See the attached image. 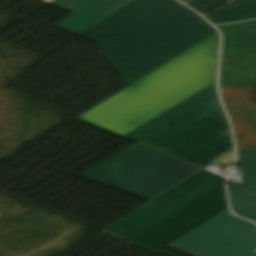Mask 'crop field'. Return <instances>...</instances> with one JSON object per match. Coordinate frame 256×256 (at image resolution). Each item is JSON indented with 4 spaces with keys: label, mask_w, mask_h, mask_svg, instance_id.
Instances as JSON below:
<instances>
[{
    "label": "crop field",
    "mask_w": 256,
    "mask_h": 256,
    "mask_svg": "<svg viewBox=\"0 0 256 256\" xmlns=\"http://www.w3.org/2000/svg\"><path fill=\"white\" fill-rule=\"evenodd\" d=\"M205 21L175 0H132L79 36L94 41L130 84L214 33Z\"/></svg>",
    "instance_id": "8a807250"
},
{
    "label": "crop field",
    "mask_w": 256,
    "mask_h": 256,
    "mask_svg": "<svg viewBox=\"0 0 256 256\" xmlns=\"http://www.w3.org/2000/svg\"><path fill=\"white\" fill-rule=\"evenodd\" d=\"M219 34L144 76L79 118L121 135L216 80Z\"/></svg>",
    "instance_id": "ac0d7876"
},
{
    "label": "crop field",
    "mask_w": 256,
    "mask_h": 256,
    "mask_svg": "<svg viewBox=\"0 0 256 256\" xmlns=\"http://www.w3.org/2000/svg\"><path fill=\"white\" fill-rule=\"evenodd\" d=\"M224 180L203 170L103 231L155 252L227 208Z\"/></svg>",
    "instance_id": "34b2d1b8"
},
{
    "label": "crop field",
    "mask_w": 256,
    "mask_h": 256,
    "mask_svg": "<svg viewBox=\"0 0 256 256\" xmlns=\"http://www.w3.org/2000/svg\"><path fill=\"white\" fill-rule=\"evenodd\" d=\"M200 169L138 143L83 176L150 200Z\"/></svg>",
    "instance_id": "412701ff"
},
{
    "label": "crop field",
    "mask_w": 256,
    "mask_h": 256,
    "mask_svg": "<svg viewBox=\"0 0 256 256\" xmlns=\"http://www.w3.org/2000/svg\"><path fill=\"white\" fill-rule=\"evenodd\" d=\"M141 142L198 166L233 146L227 117L217 97Z\"/></svg>",
    "instance_id": "f4fd0767"
},
{
    "label": "crop field",
    "mask_w": 256,
    "mask_h": 256,
    "mask_svg": "<svg viewBox=\"0 0 256 256\" xmlns=\"http://www.w3.org/2000/svg\"><path fill=\"white\" fill-rule=\"evenodd\" d=\"M169 244L200 256H256V225L227 208Z\"/></svg>",
    "instance_id": "dd49c442"
},
{
    "label": "crop field",
    "mask_w": 256,
    "mask_h": 256,
    "mask_svg": "<svg viewBox=\"0 0 256 256\" xmlns=\"http://www.w3.org/2000/svg\"><path fill=\"white\" fill-rule=\"evenodd\" d=\"M229 112L237 149L256 148V87L220 85Z\"/></svg>",
    "instance_id": "e52e79f7"
},
{
    "label": "crop field",
    "mask_w": 256,
    "mask_h": 256,
    "mask_svg": "<svg viewBox=\"0 0 256 256\" xmlns=\"http://www.w3.org/2000/svg\"><path fill=\"white\" fill-rule=\"evenodd\" d=\"M238 152L244 184L227 185L232 211L256 221V149Z\"/></svg>",
    "instance_id": "d8731c3e"
},
{
    "label": "crop field",
    "mask_w": 256,
    "mask_h": 256,
    "mask_svg": "<svg viewBox=\"0 0 256 256\" xmlns=\"http://www.w3.org/2000/svg\"><path fill=\"white\" fill-rule=\"evenodd\" d=\"M128 0H54L51 3L73 14L55 26L79 33Z\"/></svg>",
    "instance_id": "5a996713"
},
{
    "label": "crop field",
    "mask_w": 256,
    "mask_h": 256,
    "mask_svg": "<svg viewBox=\"0 0 256 256\" xmlns=\"http://www.w3.org/2000/svg\"><path fill=\"white\" fill-rule=\"evenodd\" d=\"M215 96L214 83L124 136L139 142Z\"/></svg>",
    "instance_id": "3316defc"
},
{
    "label": "crop field",
    "mask_w": 256,
    "mask_h": 256,
    "mask_svg": "<svg viewBox=\"0 0 256 256\" xmlns=\"http://www.w3.org/2000/svg\"><path fill=\"white\" fill-rule=\"evenodd\" d=\"M224 32L222 54H256V20L219 25Z\"/></svg>",
    "instance_id": "28ad6ade"
},
{
    "label": "crop field",
    "mask_w": 256,
    "mask_h": 256,
    "mask_svg": "<svg viewBox=\"0 0 256 256\" xmlns=\"http://www.w3.org/2000/svg\"><path fill=\"white\" fill-rule=\"evenodd\" d=\"M219 84L256 86V57L222 56Z\"/></svg>",
    "instance_id": "d1516ede"
},
{
    "label": "crop field",
    "mask_w": 256,
    "mask_h": 256,
    "mask_svg": "<svg viewBox=\"0 0 256 256\" xmlns=\"http://www.w3.org/2000/svg\"><path fill=\"white\" fill-rule=\"evenodd\" d=\"M256 17V0H246L207 19L213 24Z\"/></svg>",
    "instance_id": "22f410ed"
},
{
    "label": "crop field",
    "mask_w": 256,
    "mask_h": 256,
    "mask_svg": "<svg viewBox=\"0 0 256 256\" xmlns=\"http://www.w3.org/2000/svg\"><path fill=\"white\" fill-rule=\"evenodd\" d=\"M231 0H192L186 4L198 10L201 14L213 8L221 6Z\"/></svg>",
    "instance_id": "cbeb9de0"
},
{
    "label": "crop field",
    "mask_w": 256,
    "mask_h": 256,
    "mask_svg": "<svg viewBox=\"0 0 256 256\" xmlns=\"http://www.w3.org/2000/svg\"><path fill=\"white\" fill-rule=\"evenodd\" d=\"M242 1H244V0H236V1L232 2V3H230V4H227V5H225V6L221 7V8H218V9H216V10H214V11H212V12H210V13L204 15V16L208 17V16H211V15H214V14H216V13H218V12L224 10V9H227V8L237 4V3H240Z\"/></svg>",
    "instance_id": "5142ce71"
},
{
    "label": "crop field",
    "mask_w": 256,
    "mask_h": 256,
    "mask_svg": "<svg viewBox=\"0 0 256 256\" xmlns=\"http://www.w3.org/2000/svg\"><path fill=\"white\" fill-rule=\"evenodd\" d=\"M232 150V148H230L229 150L225 151L224 153L220 154L219 156L215 157L214 159L210 160L209 162L205 163L204 165L200 166V167H205L208 164H210L211 162H213L214 160L224 156L225 154H227L228 152H230Z\"/></svg>",
    "instance_id": "d9b57169"
},
{
    "label": "crop field",
    "mask_w": 256,
    "mask_h": 256,
    "mask_svg": "<svg viewBox=\"0 0 256 256\" xmlns=\"http://www.w3.org/2000/svg\"><path fill=\"white\" fill-rule=\"evenodd\" d=\"M180 1L184 2V1H186V0H180Z\"/></svg>",
    "instance_id": "733c2abd"
}]
</instances>
